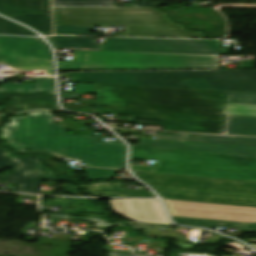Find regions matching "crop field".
Returning <instances> with one entry per match:
<instances>
[{
    "instance_id": "28",
    "label": "crop field",
    "mask_w": 256,
    "mask_h": 256,
    "mask_svg": "<svg viewBox=\"0 0 256 256\" xmlns=\"http://www.w3.org/2000/svg\"><path fill=\"white\" fill-rule=\"evenodd\" d=\"M78 93H96V85L75 84L72 94L62 93V98L74 99Z\"/></svg>"
},
{
    "instance_id": "5",
    "label": "crop field",
    "mask_w": 256,
    "mask_h": 256,
    "mask_svg": "<svg viewBox=\"0 0 256 256\" xmlns=\"http://www.w3.org/2000/svg\"><path fill=\"white\" fill-rule=\"evenodd\" d=\"M241 69L253 70L70 73V82L256 93L252 61L244 62Z\"/></svg>"
},
{
    "instance_id": "27",
    "label": "crop field",
    "mask_w": 256,
    "mask_h": 256,
    "mask_svg": "<svg viewBox=\"0 0 256 256\" xmlns=\"http://www.w3.org/2000/svg\"><path fill=\"white\" fill-rule=\"evenodd\" d=\"M88 180L111 179L118 172L114 170L89 168L84 171Z\"/></svg>"
},
{
    "instance_id": "14",
    "label": "crop field",
    "mask_w": 256,
    "mask_h": 256,
    "mask_svg": "<svg viewBox=\"0 0 256 256\" xmlns=\"http://www.w3.org/2000/svg\"><path fill=\"white\" fill-rule=\"evenodd\" d=\"M138 144L256 155V148L254 147H238V146L199 144V143L163 141V140H146V139H140Z\"/></svg>"
},
{
    "instance_id": "12",
    "label": "crop field",
    "mask_w": 256,
    "mask_h": 256,
    "mask_svg": "<svg viewBox=\"0 0 256 256\" xmlns=\"http://www.w3.org/2000/svg\"><path fill=\"white\" fill-rule=\"evenodd\" d=\"M114 213L130 220L170 224L157 200H111Z\"/></svg>"
},
{
    "instance_id": "26",
    "label": "crop field",
    "mask_w": 256,
    "mask_h": 256,
    "mask_svg": "<svg viewBox=\"0 0 256 256\" xmlns=\"http://www.w3.org/2000/svg\"><path fill=\"white\" fill-rule=\"evenodd\" d=\"M226 103L256 104V94L230 92Z\"/></svg>"
},
{
    "instance_id": "31",
    "label": "crop field",
    "mask_w": 256,
    "mask_h": 256,
    "mask_svg": "<svg viewBox=\"0 0 256 256\" xmlns=\"http://www.w3.org/2000/svg\"><path fill=\"white\" fill-rule=\"evenodd\" d=\"M109 256H137V255H127V254H118L109 252Z\"/></svg>"
},
{
    "instance_id": "32",
    "label": "crop field",
    "mask_w": 256,
    "mask_h": 256,
    "mask_svg": "<svg viewBox=\"0 0 256 256\" xmlns=\"http://www.w3.org/2000/svg\"><path fill=\"white\" fill-rule=\"evenodd\" d=\"M250 246H252V247H254L255 249H256V245H254V244H249Z\"/></svg>"
},
{
    "instance_id": "20",
    "label": "crop field",
    "mask_w": 256,
    "mask_h": 256,
    "mask_svg": "<svg viewBox=\"0 0 256 256\" xmlns=\"http://www.w3.org/2000/svg\"><path fill=\"white\" fill-rule=\"evenodd\" d=\"M172 219L178 224H184L188 226L208 227L211 229L213 228L217 229V227L244 228V229H249L247 232L256 233V224L209 221V220H198V219L177 218V217H172Z\"/></svg>"
},
{
    "instance_id": "17",
    "label": "crop field",
    "mask_w": 256,
    "mask_h": 256,
    "mask_svg": "<svg viewBox=\"0 0 256 256\" xmlns=\"http://www.w3.org/2000/svg\"><path fill=\"white\" fill-rule=\"evenodd\" d=\"M23 12L50 13L49 0H0V13L19 15Z\"/></svg>"
},
{
    "instance_id": "25",
    "label": "crop field",
    "mask_w": 256,
    "mask_h": 256,
    "mask_svg": "<svg viewBox=\"0 0 256 256\" xmlns=\"http://www.w3.org/2000/svg\"><path fill=\"white\" fill-rule=\"evenodd\" d=\"M222 114L256 116V105L226 104Z\"/></svg>"
},
{
    "instance_id": "1",
    "label": "crop field",
    "mask_w": 256,
    "mask_h": 256,
    "mask_svg": "<svg viewBox=\"0 0 256 256\" xmlns=\"http://www.w3.org/2000/svg\"><path fill=\"white\" fill-rule=\"evenodd\" d=\"M228 93L97 85L96 113L165 118L163 130L223 134Z\"/></svg>"
},
{
    "instance_id": "3",
    "label": "crop field",
    "mask_w": 256,
    "mask_h": 256,
    "mask_svg": "<svg viewBox=\"0 0 256 256\" xmlns=\"http://www.w3.org/2000/svg\"><path fill=\"white\" fill-rule=\"evenodd\" d=\"M56 34L97 35L89 27L120 26L128 37L206 38L205 32L187 31L156 8H54Z\"/></svg>"
},
{
    "instance_id": "11",
    "label": "crop field",
    "mask_w": 256,
    "mask_h": 256,
    "mask_svg": "<svg viewBox=\"0 0 256 256\" xmlns=\"http://www.w3.org/2000/svg\"><path fill=\"white\" fill-rule=\"evenodd\" d=\"M65 135L64 124H53V114L49 111H33L29 116L11 118V122L2 126V140Z\"/></svg>"
},
{
    "instance_id": "29",
    "label": "crop field",
    "mask_w": 256,
    "mask_h": 256,
    "mask_svg": "<svg viewBox=\"0 0 256 256\" xmlns=\"http://www.w3.org/2000/svg\"><path fill=\"white\" fill-rule=\"evenodd\" d=\"M47 216H51V217H61V218H71V219H81V220H91V221H96L95 226H102V227H111L114 224L111 223H107L101 219H95V218H85V217H75V216H65V215H55V214H47L45 213ZM117 226H125L127 227L124 223H116Z\"/></svg>"
},
{
    "instance_id": "7",
    "label": "crop field",
    "mask_w": 256,
    "mask_h": 256,
    "mask_svg": "<svg viewBox=\"0 0 256 256\" xmlns=\"http://www.w3.org/2000/svg\"><path fill=\"white\" fill-rule=\"evenodd\" d=\"M59 71L217 69L218 55L76 51Z\"/></svg>"
},
{
    "instance_id": "19",
    "label": "crop field",
    "mask_w": 256,
    "mask_h": 256,
    "mask_svg": "<svg viewBox=\"0 0 256 256\" xmlns=\"http://www.w3.org/2000/svg\"><path fill=\"white\" fill-rule=\"evenodd\" d=\"M224 134L256 136V117L227 115Z\"/></svg>"
},
{
    "instance_id": "9",
    "label": "crop field",
    "mask_w": 256,
    "mask_h": 256,
    "mask_svg": "<svg viewBox=\"0 0 256 256\" xmlns=\"http://www.w3.org/2000/svg\"><path fill=\"white\" fill-rule=\"evenodd\" d=\"M42 155L21 157L0 148V170L14 167L3 183L16 184L15 192L37 193L43 180L73 182L76 178L70 176L57 177L53 170L45 168L38 159ZM4 175H0V180Z\"/></svg>"
},
{
    "instance_id": "4",
    "label": "crop field",
    "mask_w": 256,
    "mask_h": 256,
    "mask_svg": "<svg viewBox=\"0 0 256 256\" xmlns=\"http://www.w3.org/2000/svg\"><path fill=\"white\" fill-rule=\"evenodd\" d=\"M131 147L130 159L158 160L155 168L131 166L133 171L256 181V156L143 145Z\"/></svg>"
},
{
    "instance_id": "30",
    "label": "crop field",
    "mask_w": 256,
    "mask_h": 256,
    "mask_svg": "<svg viewBox=\"0 0 256 256\" xmlns=\"http://www.w3.org/2000/svg\"><path fill=\"white\" fill-rule=\"evenodd\" d=\"M129 222L132 226L135 228H140V229H151V230H156L157 227H170V225H164V224H150V223H139V222Z\"/></svg>"
},
{
    "instance_id": "13",
    "label": "crop field",
    "mask_w": 256,
    "mask_h": 256,
    "mask_svg": "<svg viewBox=\"0 0 256 256\" xmlns=\"http://www.w3.org/2000/svg\"><path fill=\"white\" fill-rule=\"evenodd\" d=\"M0 98L11 99L9 104L3 106L6 113H12L23 108L25 111L30 109H52L56 111L60 110L56 98L51 95L0 93Z\"/></svg>"
},
{
    "instance_id": "15",
    "label": "crop field",
    "mask_w": 256,
    "mask_h": 256,
    "mask_svg": "<svg viewBox=\"0 0 256 256\" xmlns=\"http://www.w3.org/2000/svg\"><path fill=\"white\" fill-rule=\"evenodd\" d=\"M157 139L256 147V138L248 137L209 136L176 133V135L157 134Z\"/></svg>"
},
{
    "instance_id": "18",
    "label": "crop field",
    "mask_w": 256,
    "mask_h": 256,
    "mask_svg": "<svg viewBox=\"0 0 256 256\" xmlns=\"http://www.w3.org/2000/svg\"><path fill=\"white\" fill-rule=\"evenodd\" d=\"M35 83L13 84L12 82L1 84L0 92L38 93L45 92L55 95L54 78H34Z\"/></svg>"
},
{
    "instance_id": "21",
    "label": "crop field",
    "mask_w": 256,
    "mask_h": 256,
    "mask_svg": "<svg viewBox=\"0 0 256 256\" xmlns=\"http://www.w3.org/2000/svg\"><path fill=\"white\" fill-rule=\"evenodd\" d=\"M165 2H132L133 6L124 7H160ZM54 6H113V0H54Z\"/></svg>"
},
{
    "instance_id": "2",
    "label": "crop field",
    "mask_w": 256,
    "mask_h": 256,
    "mask_svg": "<svg viewBox=\"0 0 256 256\" xmlns=\"http://www.w3.org/2000/svg\"><path fill=\"white\" fill-rule=\"evenodd\" d=\"M135 173L164 199L172 216L256 223V182Z\"/></svg>"
},
{
    "instance_id": "10",
    "label": "crop field",
    "mask_w": 256,
    "mask_h": 256,
    "mask_svg": "<svg viewBox=\"0 0 256 256\" xmlns=\"http://www.w3.org/2000/svg\"><path fill=\"white\" fill-rule=\"evenodd\" d=\"M0 62L16 70H46L53 75L51 51L40 38L0 36Z\"/></svg>"
},
{
    "instance_id": "22",
    "label": "crop field",
    "mask_w": 256,
    "mask_h": 256,
    "mask_svg": "<svg viewBox=\"0 0 256 256\" xmlns=\"http://www.w3.org/2000/svg\"><path fill=\"white\" fill-rule=\"evenodd\" d=\"M22 22L33 29L43 33L44 35L52 34V25L50 15L45 14H24L20 17H10Z\"/></svg>"
},
{
    "instance_id": "6",
    "label": "crop field",
    "mask_w": 256,
    "mask_h": 256,
    "mask_svg": "<svg viewBox=\"0 0 256 256\" xmlns=\"http://www.w3.org/2000/svg\"><path fill=\"white\" fill-rule=\"evenodd\" d=\"M11 149L24 154L28 150H43L47 164L60 169V174H73L66 166L54 162L55 157L78 159L85 166L125 169L124 143H97L95 136H48L8 141Z\"/></svg>"
},
{
    "instance_id": "24",
    "label": "crop field",
    "mask_w": 256,
    "mask_h": 256,
    "mask_svg": "<svg viewBox=\"0 0 256 256\" xmlns=\"http://www.w3.org/2000/svg\"><path fill=\"white\" fill-rule=\"evenodd\" d=\"M0 34L36 36L27 28L21 27L9 20L0 17Z\"/></svg>"
},
{
    "instance_id": "23",
    "label": "crop field",
    "mask_w": 256,
    "mask_h": 256,
    "mask_svg": "<svg viewBox=\"0 0 256 256\" xmlns=\"http://www.w3.org/2000/svg\"><path fill=\"white\" fill-rule=\"evenodd\" d=\"M47 39L54 45V47L88 49H100L101 47L98 45H92L94 38L56 36L54 38Z\"/></svg>"
},
{
    "instance_id": "8",
    "label": "crop field",
    "mask_w": 256,
    "mask_h": 256,
    "mask_svg": "<svg viewBox=\"0 0 256 256\" xmlns=\"http://www.w3.org/2000/svg\"><path fill=\"white\" fill-rule=\"evenodd\" d=\"M99 51L194 53L228 55L219 41L184 39L108 38Z\"/></svg>"
},
{
    "instance_id": "16",
    "label": "crop field",
    "mask_w": 256,
    "mask_h": 256,
    "mask_svg": "<svg viewBox=\"0 0 256 256\" xmlns=\"http://www.w3.org/2000/svg\"><path fill=\"white\" fill-rule=\"evenodd\" d=\"M124 182H105L96 183L87 186H75L70 188L71 191L78 189H88L91 194L103 195L108 197H156L153 193L146 190L123 189ZM103 192L104 194H100Z\"/></svg>"
}]
</instances>
